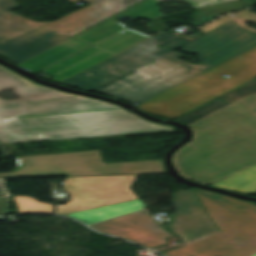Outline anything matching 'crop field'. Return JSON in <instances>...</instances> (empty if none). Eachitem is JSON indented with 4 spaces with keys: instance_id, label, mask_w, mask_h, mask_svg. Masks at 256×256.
I'll list each match as a JSON object with an SVG mask.
<instances>
[{
    "instance_id": "92a150f3",
    "label": "crop field",
    "mask_w": 256,
    "mask_h": 256,
    "mask_svg": "<svg viewBox=\"0 0 256 256\" xmlns=\"http://www.w3.org/2000/svg\"><path fill=\"white\" fill-rule=\"evenodd\" d=\"M158 2L161 0H157ZM189 3L194 8H200L204 6L214 5L232 0H180Z\"/></svg>"
},
{
    "instance_id": "f4fd0767",
    "label": "crop field",
    "mask_w": 256,
    "mask_h": 256,
    "mask_svg": "<svg viewBox=\"0 0 256 256\" xmlns=\"http://www.w3.org/2000/svg\"><path fill=\"white\" fill-rule=\"evenodd\" d=\"M193 190L221 232L165 256H250L256 252V204Z\"/></svg>"
},
{
    "instance_id": "00972430",
    "label": "crop field",
    "mask_w": 256,
    "mask_h": 256,
    "mask_svg": "<svg viewBox=\"0 0 256 256\" xmlns=\"http://www.w3.org/2000/svg\"><path fill=\"white\" fill-rule=\"evenodd\" d=\"M3 70H5V68L0 66V72H2Z\"/></svg>"
},
{
    "instance_id": "dd49c442",
    "label": "crop field",
    "mask_w": 256,
    "mask_h": 256,
    "mask_svg": "<svg viewBox=\"0 0 256 256\" xmlns=\"http://www.w3.org/2000/svg\"><path fill=\"white\" fill-rule=\"evenodd\" d=\"M230 75L226 80L221 75ZM256 77V47L138 105L153 115L175 119Z\"/></svg>"
},
{
    "instance_id": "28ad6ade",
    "label": "crop field",
    "mask_w": 256,
    "mask_h": 256,
    "mask_svg": "<svg viewBox=\"0 0 256 256\" xmlns=\"http://www.w3.org/2000/svg\"><path fill=\"white\" fill-rule=\"evenodd\" d=\"M98 232L124 238L148 249L166 243L172 234L160 229L146 212L140 211L91 226Z\"/></svg>"
},
{
    "instance_id": "ac0d7876",
    "label": "crop field",
    "mask_w": 256,
    "mask_h": 256,
    "mask_svg": "<svg viewBox=\"0 0 256 256\" xmlns=\"http://www.w3.org/2000/svg\"><path fill=\"white\" fill-rule=\"evenodd\" d=\"M232 105L256 116V94ZM189 126L193 139L173 155L181 175L208 184L256 164V119L250 115L228 106Z\"/></svg>"
},
{
    "instance_id": "cbeb9de0",
    "label": "crop field",
    "mask_w": 256,
    "mask_h": 256,
    "mask_svg": "<svg viewBox=\"0 0 256 256\" xmlns=\"http://www.w3.org/2000/svg\"><path fill=\"white\" fill-rule=\"evenodd\" d=\"M88 46L90 45L70 38L18 66L35 73Z\"/></svg>"
},
{
    "instance_id": "d1516ede",
    "label": "crop field",
    "mask_w": 256,
    "mask_h": 256,
    "mask_svg": "<svg viewBox=\"0 0 256 256\" xmlns=\"http://www.w3.org/2000/svg\"><path fill=\"white\" fill-rule=\"evenodd\" d=\"M172 203L177 207L176 222L169 225L187 242L217 232L192 190L176 192Z\"/></svg>"
},
{
    "instance_id": "8a807250",
    "label": "crop field",
    "mask_w": 256,
    "mask_h": 256,
    "mask_svg": "<svg viewBox=\"0 0 256 256\" xmlns=\"http://www.w3.org/2000/svg\"><path fill=\"white\" fill-rule=\"evenodd\" d=\"M174 129L144 120L114 104L36 85L7 69L0 73V141L3 143Z\"/></svg>"
},
{
    "instance_id": "5142ce71",
    "label": "crop field",
    "mask_w": 256,
    "mask_h": 256,
    "mask_svg": "<svg viewBox=\"0 0 256 256\" xmlns=\"http://www.w3.org/2000/svg\"><path fill=\"white\" fill-rule=\"evenodd\" d=\"M143 203L140 199L133 200L126 203L116 204L112 206L91 209L86 211L70 213L67 216L74 218L86 225L102 221L111 217L119 216L134 210L141 209Z\"/></svg>"
},
{
    "instance_id": "5a996713",
    "label": "crop field",
    "mask_w": 256,
    "mask_h": 256,
    "mask_svg": "<svg viewBox=\"0 0 256 256\" xmlns=\"http://www.w3.org/2000/svg\"><path fill=\"white\" fill-rule=\"evenodd\" d=\"M138 175L105 177H69L63 184L71 201L58 206V213H68L138 197L129 190Z\"/></svg>"
},
{
    "instance_id": "733c2abd",
    "label": "crop field",
    "mask_w": 256,
    "mask_h": 256,
    "mask_svg": "<svg viewBox=\"0 0 256 256\" xmlns=\"http://www.w3.org/2000/svg\"><path fill=\"white\" fill-rule=\"evenodd\" d=\"M235 15H237V16H235L233 18H231L229 16L221 17V18L201 27L199 30L205 34V33L210 32L229 21H232L245 30L256 32V30L244 25V23H246L248 21L256 24V16L255 15H253L247 11L235 13Z\"/></svg>"
},
{
    "instance_id": "bc2a9ffb",
    "label": "crop field",
    "mask_w": 256,
    "mask_h": 256,
    "mask_svg": "<svg viewBox=\"0 0 256 256\" xmlns=\"http://www.w3.org/2000/svg\"><path fill=\"white\" fill-rule=\"evenodd\" d=\"M228 106L227 104H225L224 102L220 101V100H215L214 102L176 120L178 122H181L183 124L189 125L213 112H216L224 107Z\"/></svg>"
},
{
    "instance_id": "a9b5d70f",
    "label": "crop field",
    "mask_w": 256,
    "mask_h": 256,
    "mask_svg": "<svg viewBox=\"0 0 256 256\" xmlns=\"http://www.w3.org/2000/svg\"><path fill=\"white\" fill-rule=\"evenodd\" d=\"M252 195H256V192H255V193H253Z\"/></svg>"
},
{
    "instance_id": "214f88e0",
    "label": "crop field",
    "mask_w": 256,
    "mask_h": 256,
    "mask_svg": "<svg viewBox=\"0 0 256 256\" xmlns=\"http://www.w3.org/2000/svg\"><path fill=\"white\" fill-rule=\"evenodd\" d=\"M256 93V80L234 90L233 92L219 98L229 104L246 97L248 95H252Z\"/></svg>"
},
{
    "instance_id": "d8731c3e",
    "label": "crop field",
    "mask_w": 256,
    "mask_h": 256,
    "mask_svg": "<svg viewBox=\"0 0 256 256\" xmlns=\"http://www.w3.org/2000/svg\"><path fill=\"white\" fill-rule=\"evenodd\" d=\"M186 43L188 42L162 32L157 37L131 47L59 84L91 92ZM157 44L168 47L159 50L155 48Z\"/></svg>"
},
{
    "instance_id": "412701ff",
    "label": "crop field",
    "mask_w": 256,
    "mask_h": 256,
    "mask_svg": "<svg viewBox=\"0 0 256 256\" xmlns=\"http://www.w3.org/2000/svg\"><path fill=\"white\" fill-rule=\"evenodd\" d=\"M83 1L91 6L51 23H38L9 12L18 7L14 0H0V56L18 65L141 0Z\"/></svg>"
},
{
    "instance_id": "3316defc",
    "label": "crop field",
    "mask_w": 256,
    "mask_h": 256,
    "mask_svg": "<svg viewBox=\"0 0 256 256\" xmlns=\"http://www.w3.org/2000/svg\"><path fill=\"white\" fill-rule=\"evenodd\" d=\"M147 37L149 36L132 29L124 30L43 72L54 77L51 80L60 81Z\"/></svg>"
},
{
    "instance_id": "4177f3b9",
    "label": "crop field",
    "mask_w": 256,
    "mask_h": 256,
    "mask_svg": "<svg viewBox=\"0 0 256 256\" xmlns=\"http://www.w3.org/2000/svg\"><path fill=\"white\" fill-rule=\"evenodd\" d=\"M256 256V255H255Z\"/></svg>"
},
{
    "instance_id": "d9b57169",
    "label": "crop field",
    "mask_w": 256,
    "mask_h": 256,
    "mask_svg": "<svg viewBox=\"0 0 256 256\" xmlns=\"http://www.w3.org/2000/svg\"><path fill=\"white\" fill-rule=\"evenodd\" d=\"M211 186L250 195L256 191V165L224 178Z\"/></svg>"
},
{
    "instance_id": "34b2d1b8",
    "label": "crop field",
    "mask_w": 256,
    "mask_h": 256,
    "mask_svg": "<svg viewBox=\"0 0 256 256\" xmlns=\"http://www.w3.org/2000/svg\"><path fill=\"white\" fill-rule=\"evenodd\" d=\"M256 45V33L230 22L181 47L203 63L180 60L175 51L95 92L127 103H142Z\"/></svg>"
},
{
    "instance_id": "e52e79f7",
    "label": "crop field",
    "mask_w": 256,
    "mask_h": 256,
    "mask_svg": "<svg viewBox=\"0 0 256 256\" xmlns=\"http://www.w3.org/2000/svg\"><path fill=\"white\" fill-rule=\"evenodd\" d=\"M18 166L0 178L38 176H104L166 173L161 160L104 164L99 150L17 157Z\"/></svg>"
},
{
    "instance_id": "4a817a6b",
    "label": "crop field",
    "mask_w": 256,
    "mask_h": 256,
    "mask_svg": "<svg viewBox=\"0 0 256 256\" xmlns=\"http://www.w3.org/2000/svg\"><path fill=\"white\" fill-rule=\"evenodd\" d=\"M14 199L19 213H53V205L36 202L31 197L16 196Z\"/></svg>"
},
{
    "instance_id": "dafd665d",
    "label": "crop field",
    "mask_w": 256,
    "mask_h": 256,
    "mask_svg": "<svg viewBox=\"0 0 256 256\" xmlns=\"http://www.w3.org/2000/svg\"><path fill=\"white\" fill-rule=\"evenodd\" d=\"M0 216H3V199H0Z\"/></svg>"
},
{
    "instance_id": "22f410ed",
    "label": "crop field",
    "mask_w": 256,
    "mask_h": 256,
    "mask_svg": "<svg viewBox=\"0 0 256 256\" xmlns=\"http://www.w3.org/2000/svg\"><path fill=\"white\" fill-rule=\"evenodd\" d=\"M158 2L156 0H146L120 14H117L75 36L74 38L94 45L122 30L125 26L114 20L119 17L128 19H150L164 15L159 12Z\"/></svg>"
}]
</instances>
